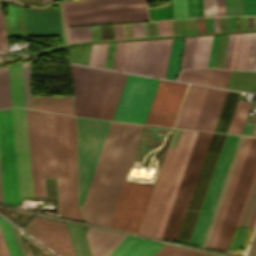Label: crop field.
<instances>
[{
    "mask_svg": "<svg viewBox=\"0 0 256 256\" xmlns=\"http://www.w3.org/2000/svg\"><path fill=\"white\" fill-rule=\"evenodd\" d=\"M229 77L227 75L184 70L181 71L179 80L225 88Z\"/></svg>",
    "mask_w": 256,
    "mask_h": 256,
    "instance_id": "24",
    "label": "crop field"
},
{
    "mask_svg": "<svg viewBox=\"0 0 256 256\" xmlns=\"http://www.w3.org/2000/svg\"><path fill=\"white\" fill-rule=\"evenodd\" d=\"M169 4L150 8L151 20L172 19L171 0Z\"/></svg>",
    "mask_w": 256,
    "mask_h": 256,
    "instance_id": "43",
    "label": "crop field"
},
{
    "mask_svg": "<svg viewBox=\"0 0 256 256\" xmlns=\"http://www.w3.org/2000/svg\"><path fill=\"white\" fill-rule=\"evenodd\" d=\"M239 136L227 135L199 213L191 244L202 245L227 169Z\"/></svg>",
    "mask_w": 256,
    "mask_h": 256,
    "instance_id": "9",
    "label": "crop field"
},
{
    "mask_svg": "<svg viewBox=\"0 0 256 256\" xmlns=\"http://www.w3.org/2000/svg\"><path fill=\"white\" fill-rule=\"evenodd\" d=\"M215 31H220L217 17L213 18Z\"/></svg>",
    "mask_w": 256,
    "mask_h": 256,
    "instance_id": "63",
    "label": "crop field"
},
{
    "mask_svg": "<svg viewBox=\"0 0 256 256\" xmlns=\"http://www.w3.org/2000/svg\"><path fill=\"white\" fill-rule=\"evenodd\" d=\"M67 26L148 19L145 0L64 6Z\"/></svg>",
    "mask_w": 256,
    "mask_h": 256,
    "instance_id": "6",
    "label": "crop field"
},
{
    "mask_svg": "<svg viewBox=\"0 0 256 256\" xmlns=\"http://www.w3.org/2000/svg\"><path fill=\"white\" fill-rule=\"evenodd\" d=\"M158 81L129 75L112 120L144 123Z\"/></svg>",
    "mask_w": 256,
    "mask_h": 256,
    "instance_id": "8",
    "label": "crop field"
},
{
    "mask_svg": "<svg viewBox=\"0 0 256 256\" xmlns=\"http://www.w3.org/2000/svg\"><path fill=\"white\" fill-rule=\"evenodd\" d=\"M0 110V167L4 203L19 202L11 108Z\"/></svg>",
    "mask_w": 256,
    "mask_h": 256,
    "instance_id": "12",
    "label": "crop field"
},
{
    "mask_svg": "<svg viewBox=\"0 0 256 256\" xmlns=\"http://www.w3.org/2000/svg\"><path fill=\"white\" fill-rule=\"evenodd\" d=\"M252 138L240 136L221 193L219 195L209 228L202 246L214 247L243 160Z\"/></svg>",
    "mask_w": 256,
    "mask_h": 256,
    "instance_id": "14",
    "label": "crop field"
},
{
    "mask_svg": "<svg viewBox=\"0 0 256 256\" xmlns=\"http://www.w3.org/2000/svg\"><path fill=\"white\" fill-rule=\"evenodd\" d=\"M184 38H173L166 78L174 80L179 69Z\"/></svg>",
    "mask_w": 256,
    "mask_h": 256,
    "instance_id": "31",
    "label": "crop field"
},
{
    "mask_svg": "<svg viewBox=\"0 0 256 256\" xmlns=\"http://www.w3.org/2000/svg\"><path fill=\"white\" fill-rule=\"evenodd\" d=\"M251 142V141H250ZM256 168V138L252 139L246 158L244 160L236 187L234 189L227 213L225 215L215 247L227 250L237 218L249 188L252 176Z\"/></svg>",
    "mask_w": 256,
    "mask_h": 256,
    "instance_id": "11",
    "label": "crop field"
},
{
    "mask_svg": "<svg viewBox=\"0 0 256 256\" xmlns=\"http://www.w3.org/2000/svg\"><path fill=\"white\" fill-rule=\"evenodd\" d=\"M163 246L156 242L126 236L109 256H154Z\"/></svg>",
    "mask_w": 256,
    "mask_h": 256,
    "instance_id": "20",
    "label": "crop field"
},
{
    "mask_svg": "<svg viewBox=\"0 0 256 256\" xmlns=\"http://www.w3.org/2000/svg\"><path fill=\"white\" fill-rule=\"evenodd\" d=\"M134 38L145 37L143 23L132 24Z\"/></svg>",
    "mask_w": 256,
    "mask_h": 256,
    "instance_id": "56",
    "label": "crop field"
},
{
    "mask_svg": "<svg viewBox=\"0 0 256 256\" xmlns=\"http://www.w3.org/2000/svg\"><path fill=\"white\" fill-rule=\"evenodd\" d=\"M255 181H256V171H255V174H254V176H253V179H252L250 188H249V190H248V193H247L245 202H244V204H243V207H242L240 216H239L238 221H237V224H236V225H238V226H240V224H241V221H242L243 215H244V213H245V210H246V207H247V204H248L250 195H251V193H252V190H253Z\"/></svg>",
    "mask_w": 256,
    "mask_h": 256,
    "instance_id": "51",
    "label": "crop field"
},
{
    "mask_svg": "<svg viewBox=\"0 0 256 256\" xmlns=\"http://www.w3.org/2000/svg\"><path fill=\"white\" fill-rule=\"evenodd\" d=\"M217 37H218V35H214V37H213V43H212V48H211V54H210V59H209L208 67H212V65H213L215 49H216V43H217Z\"/></svg>",
    "mask_w": 256,
    "mask_h": 256,
    "instance_id": "58",
    "label": "crop field"
},
{
    "mask_svg": "<svg viewBox=\"0 0 256 256\" xmlns=\"http://www.w3.org/2000/svg\"><path fill=\"white\" fill-rule=\"evenodd\" d=\"M171 41L172 39L160 40L153 76L165 78Z\"/></svg>",
    "mask_w": 256,
    "mask_h": 256,
    "instance_id": "30",
    "label": "crop field"
},
{
    "mask_svg": "<svg viewBox=\"0 0 256 256\" xmlns=\"http://www.w3.org/2000/svg\"><path fill=\"white\" fill-rule=\"evenodd\" d=\"M212 37L213 35L198 37L194 51L192 68L208 65Z\"/></svg>",
    "mask_w": 256,
    "mask_h": 256,
    "instance_id": "29",
    "label": "crop field"
},
{
    "mask_svg": "<svg viewBox=\"0 0 256 256\" xmlns=\"http://www.w3.org/2000/svg\"><path fill=\"white\" fill-rule=\"evenodd\" d=\"M158 42L159 40H147L141 74L152 76Z\"/></svg>",
    "mask_w": 256,
    "mask_h": 256,
    "instance_id": "33",
    "label": "crop field"
},
{
    "mask_svg": "<svg viewBox=\"0 0 256 256\" xmlns=\"http://www.w3.org/2000/svg\"><path fill=\"white\" fill-rule=\"evenodd\" d=\"M213 133L199 131L163 239L176 240Z\"/></svg>",
    "mask_w": 256,
    "mask_h": 256,
    "instance_id": "7",
    "label": "crop field"
},
{
    "mask_svg": "<svg viewBox=\"0 0 256 256\" xmlns=\"http://www.w3.org/2000/svg\"><path fill=\"white\" fill-rule=\"evenodd\" d=\"M217 9L218 15H226L224 0H217Z\"/></svg>",
    "mask_w": 256,
    "mask_h": 256,
    "instance_id": "59",
    "label": "crop field"
},
{
    "mask_svg": "<svg viewBox=\"0 0 256 256\" xmlns=\"http://www.w3.org/2000/svg\"><path fill=\"white\" fill-rule=\"evenodd\" d=\"M203 16L217 15L216 0H201Z\"/></svg>",
    "mask_w": 256,
    "mask_h": 256,
    "instance_id": "48",
    "label": "crop field"
},
{
    "mask_svg": "<svg viewBox=\"0 0 256 256\" xmlns=\"http://www.w3.org/2000/svg\"><path fill=\"white\" fill-rule=\"evenodd\" d=\"M250 103L238 102L227 133L239 135Z\"/></svg>",
    "mask_w": 256,
    "mask_h": 256,
    "instance_id": "34",
    "label": "crop field"
},
{
    "mask_svg": "<svg viewBox=\"0 0 256 256\" xmlns=\"http://www.w3.org/2000/svg\"><path fill=\"white\" fill-rule=\"evenodd\" d=\"M32 108L73 115L72 97H31Z\"/></svg>",
    "mask_w": 256,
    "mask_h": 256,
    "instance_id": "23",
    "label": "crop field"
},
{
    "mask_svg": "<svg viewBox=\"0 0 256 256\" xmlns=\"http://www.w3.org/2000/svg\"><path fill=\"white\" fill-rule=\"evenodd\" d=\"M86 237L92 256H108L125 236L90 228Z\"/></svg>",
    "mask_w": 256,
    "mask_h": 256,
    "instance_id": "19",
    "label": "crop field"
},
{
    "mask_svg": "<svg viewBox=\"0 0 256 256\" xmlns=\"http://www.w3.org/2000/svg\"><path fill=\"white\" fill-rule=\"evenodd\" d=\"M188 17L202 16L201 1L187 0Z\"/></svg>",
    "mask_w": 256,
    "mask_h": 256,
    "instance_id": "47",
    "label": "crop field"
},
{
    "mask_svg": "<svg viewBox=\"0 0 256 256\" xmlns=\"http://www.w3.org/2000/svg\"><path fill=\"white\" fill-rule=\"evenodd\" d=\"M152 188L124 183L109 227L137 233Z\"/></svg>",
    "mask_w": 256,
    "mask_h": 256,
    "instance_id": "10",
    "label": "crop field"
},
{
    "mask_svg": "<svg viewBox=\"0 0 256 256\" xmlns=\"http://www.w3.org/2000/svg\"><path fill=\"white\" fill-rule=\"evenodd\" d=\"M248 255L256 256V233L254 235L253 241H252L250 249L248 251Z\"/></svg>",
    "mask_w": 256,
    "mask_h": 256,
    "instance_id": "60",
    "label": "crop field"
},
{
    "mask_svg": "<svg viewBox=\"0 0 256 256\" xmlns=\"http://www.w3.org/2000/svg\"><path fill=\"white\" fill-rule=\"evenodd\" d=\"M107 46H108V43L101 44V46H100V52H99V58H98V64H97V66H99V67L104 68Z\"/></svg>",
    "mask_w": 256,
    "mask_h": 256,
    "instance_id": "55",
    "label": "crop field"
},
{
    "mask_svg": "<svg viewBox=\"0 0 256 256\" xmlns=\"http://www.w3.org/2000/svg\"><path fill=\"white\" fill-rule=\"evenodd\" d=\"M186 86L160 80L145 123L173 127Z\"/></svg>",
    "mask_w": 256,
    "mask_h": 256,
    "instance_id": "15",
    "label": "crop field"
},
{
    "mask_svg": "<svg viewBox=\"0 0 256 256\" xmlns=\"http://www.w3.org/2000/svg\"><path fill=\"white\" fill-rule=\"evenodd\" d=\"M12 106H25L21 63L8 67Z\"/></svg>",
    "mask_w": 256,
    "mask_h": 256,
    "instance_id": "25",
    "label": "crop field"
},
{
    "mask_svg": "<svg viewBox=\"0 0 256 256\" xmlns=\"http://www.w3.org/2000/svg\"><path fill=\"white\" fill-rule=\"evenodd\" d=\"M174 19L187 18L186 0H172Z\"/></svg>",
    "mask_w": 256,
    "mask_h": 256,
    "instance_id": "46",
    "label": "crop field"
},
{
    "mask_svg": "<svg viewBox=\"0 0 256 256\" xmlns=\"http://www.w3.org/2000/svg\"><path fill=\"white\" fill-rule=\"evenodd\" d=\"M251 35L252 33L241 34L237 58H236V64L234 69L245 70Z\"/></svg>",
    "mask_w": 256,
    "mask_h": 256,
    "instance_id": "35",
    "label": "crop field"
},
{
    "mask_svg": "<svg viewBox=\"0 0 256 256\" xmlns=\"http://www.w3.org/2000/svg\"><path fill=\"white\" fill-rule=\"evenodd\" d=\"M197 131L182 129L176 147L169 146L139 232L161 237Z\"/></svg>",
    "mask_w": 256,
    "mask_h": 256,
    "instance_id": "3",
    "label": "crop field"
},
{
    "mask_svg": "<svg viewBox=\"0 0 256 256\" xmlns=\"http://www.w3.org/2000/svg\"><path fill=\"white\" fill-rule=\"evenodd\" d=\"M24 12L28 36L42 35L39 11L24 9Z\"/></svg>",
    "mask_w": 256,
    "mask_h": 256,
    "instance_id": "36",
    "label": "crop field"
},
{
    "mask_svg": "<svg viewBox=\"0 0 256 256\" xmlns=\"http://www.w3.org/2000/svg\"><path fill=\"white\" fill-rule=\"evenodd\" d=\"M13 125L20 201L33 198L25 109L14 107Z\"/></svg>",
    "mask_w": 256,
    "mask_h": 256,
    "instance_id": "17",
    "label": "crop field"
},
{
    "mask_svg": "<svg viewBox=\"0 0 256 256\" xmlns=\"http://www.w3.org/2000/svg\"><path fill=\"white\" fill-rule=\"evenodd\" d=\"M23 230L61 256H76L65 222L34 215Z\"/></svg>",
    "mask_w": 256,
    "mask_h": 256,
    "instance_id": "16",
    "label": "crop field"
},
{
    "mask_svg": "<svg viewBox=\"0 0 256 256\" xmlns=\"http://www.w3.org/2000/svg\"><path fill=\"white\" fill-rule=\"evenodd\" d=\"M6 31L2 5L0 6V51H6Z\"/></svg>",
    "mask_w": 256,
    "mask_h": 256,
    "instance_id": "49",
    "label": "crop field"
},
{
    "mask_svg": "<svg viewBox=\"0 0 256 256\" xmlns=\"http://www.w3.org/2000/svg\"><path fill=\"white\" fill-rule=\"evenodd\" d=\"M100 44H92L88 65L96 66Z\"/></svg>",
    "mask_w": 256,
    "mask_h": 256,
    "instance_id": "53",
    "label": "crop field"
},
{
    "mask_svg": "<svg viewBox=\"0 0 256 256\" xmlns=\"http://www.w3.org/2000/svg\"><path fill=\"white\" fill-rule=\"evenodd\" d=\"M0 256H21L9 222L0 217Z\"/></svg>",
    "mask_w": 256,
    "mask_h": 256,
    "instance_id": "26",
    "label": "crop field"
},
{
    "mask_svg": "<svg viewBox=\"0 0 256 256\" xmlns=\"http://www.w3.org/2000/svg\"><path fill=\"white\" fill-rule=\"evenodd\" d=\"M78 152V199L82 207L111 121L75 117Z\"/></svg>",
    "mask_w": 256,
    "mask_h": 256,
    "instance_id": "5",
    "label": "crop field"
},
{
    "mask_svg": "<svg viewBox=\"0 0 256 256\" xmlns=\"http://www.w3.org/2000/svg\"><path fill=\"white\" fill-rule=\"evenodd\" d=\"M226 90L213 89L211 98L209 100L204 118L202 120L199 130L213 131L216 125L218 116L223 106L225 97L227 95Z\"/></svg>",
    "mask_w": 256,
    "mask_h": 256,
    "instance_id": "22",
    "label": "crop field"
},
{
    "mask_svg": "<svg viewBox=\"0 0 256 256\" xmlns=\"http://www.w3.org/2000/svg\"><path fill=\"white\" fill-rule=\"evenodd\" d=\"M11 106L8 87L7 66L0 68V108Z\"/></svg>",
    "mask_w": 256,
    "mask_h": 256,
    "instance_id": "39",
    "label": "crop field"
},
{
    "mask_svg": "<svg viewBox=\"0 0 256 256\" xmlns=\"http://www.w3.org/2000/svg\"><path fill=\"white\" fill-rule=\"evenodd\" d=\"M90 47L91 45L68 47L69 61L87 65Z\"/></svg>",
    "mask_w": 256,
    "mask_h": 256,
    "instance_id": "38",
    "label": "crop field"
},
{
    "mask_svg": "<svg viewBox=\"0 0 256 256\" xmlns=\"http://www.w3.org/2000/svg\"><path fill=\"white\" fill-rule=\"evenodd\" d=\"M68 43L85 42L91 40L89 27L84 28H66Z\"/></svg>",
    "mask_w": 256,
    "mask_h": 256,
    "instance_id": "42",
    "label": "crop field"
},
{
    "mask_svg": "<svg viewBox=\"0 0 256 256\" xmlns=\"http://www.w3.org/2000/svg\"><path fill=\"white\" fill-rule=\"evenodd\" d=\"M145 42L146 40L135 41L129 72L140 74Z\"/></svg>",
    "mask_w": 256,
    "mask_h": 256,
    "instance_id": "37",
    "label": "crop field"
},
{
    "mask_svg": "<svg viewBox=\"0 0 256 256\" xmlns=\"http://www.w3.org/2000/svg\"><path fill=\"white\" fill-rule=\"evenodd\" d=\"M239 94L240 93H237V92H231V91L228 92V95L224 103L215 131L223 132V133L227 132L235 107L238 102Z\"/></svg>",
    "mask_w": 256,
    "mask_h": 256,
    "instance_id": "28",
    "label": "crop field"
},
{
    "mask_svg": "<svg viewBox=\"0 0 256 256\" xmlns=\"http://www.w3.org/2000/svg\"><path fill=\"white\" fill-rule=\"evenodd\" d=\"M253 136H256V129H255V132H254V135Z\"/></svg>",
    "mask_w": 256,
    "mask_h": 256,
    "instance_id": "65",
    "label": "crop field"
},
{
    "mask_svg": "<svg viewBox=\"0 0 256 256\" xmlns=\"http://www.w3.org/2000/svg\"><path fill=\"white\" fill-rule=\"evenodd\" d=\"M143 126L111 122L81 210L84 220L109 226Z\"/></svg>",
    "mask_w": 256,
    "mask_h": 256,
    "instance_id": "1",
    "label": "crop field"
},
{
    "mask_svg": "<svg viewBox=\"0 0 256 256\" xmlns=\"http://www.w3.org/2000/svg\"><path fill=\"white\" fill-rule=\"evenodd\" d=\"M213 88L190 85L175 127L198 130Z\"/></svg>",
    "mask_w": 256,
    "mask_h": 256,
    "instance_id": "18",
    "label": "crop field"
},
{
    "mask_svg": "<svg viewBox=\"0 0 256 256\" xmlns=\"http://www.w3.org/2000/svg\"><path fill=\"white\" fill-rule=\"evenodd\" d=\"M198 33L205 32L203 18L196 19Z\"/></svg>",
    "mask_w": 256,
    "mask_h": 256,
    "instance_id": "61",
    "label": "crop field"
},
{
    "mask_svg": "<svg viewBox=\"0 0 256 256\" xmlns=\"http://www.w3.org/2000/svg\"><path fill=\"white\" fill-rule=\"evenodd\" d=\"M34 198L46 197L45 177H56L60 216L73 219L64 115L26 109Z\"/></svg>",
    "mask_w": 256,
    "mask_h": 256,
    "instance_id": "2",
    "label": "crop field"
},
{
    "mask_svg": "<svg viewBox=\"0 0 256 256\" xmlns=\"http://www.w3.org/2000/svg\"><path fill=\"white\" fill-rule=\"evenodd\" d=\"M233 36H234V34H230V36H229V41H228V46H227V51H226V56H225V61H224L223 68H228V66H229V60H230Z\"/></svg>",
    "mask_w": 256,
    "mask_h": 256,
    "instance_id": "57",
    "label": "crop field"
},
{
    "mask_svg": "<svg viewBox=\"0 0 256 256\" xmlns=\"http://www.w3.org/2000/svg\"><path fill=\"white\" fill-rule=\"evenodd\" d=\"M239 36H240V34H235V36H234V42H233V48H232L230 66H229V68H231V69L234 68V64H235V58H236L237 47H238V42H239Z\"/></svg>",
    "mask_w": 256,
    "mask_h": 256,
    "instance_id": "54",
    "label": "crop field"
},
{
    "mask_svg": "<svg viewBox=\"0 0 256 256\" xmlns=\"http://www.w3.org/2000/svg\"><path fill=\"white\" fill-rule=\"evenodd\" d=\"M134 41L125 42L120 70L128 72Z\"/></svg>",
    "mask_w": 256,
    "mask_h": 256,
    "instance_id": "44",
    "label": "crop field"
},
{
    "mask_svg": "<svg viewBox=\"0 0 256 256\" xmlns=\"http://www.w3.org/2000/svg\"><path fill=\"white\" fill-rule=\"evenodd\" d=\"M188 251H189L188 249H183V248L177 249V247L164 245L159 252L157 251L158 253L156 252L157 254L155 256H185ZM186 256H213V255L190 250Z\"/></svg>",
    "mask_w": 256,
    "mask_h": 256,
    "instance_id": "40",
    "label": "crop field"
},
{
    "mask_svg": "<svg viewBox=\"0 0 256 256\" xmlns=\"http://www.w3.org/2000/svg\"><path fill=\"white\" fill-rule=\"evenodd\" d=\"M225 136L226 135L223 134H213L185 219L183 221L177 239L179 241L187 243L189 242L191 232L193 230L197 215L199 213L203 198L205 196Z\"/></svg>",
    "mask_w": 256,
    "mask_h": 256,
    "instance_id": "13",
    "label": "crop field"
},
{
    "mask_svg": "<svg viewBox=\"0 0 256 256\" xmlns=\"http://www.w3.org/2000/svg\"><path fill=\"white\" fill-rule=\"evenodd\" d=\"M40 15L43 35H63L59 9L43 10Z\"/></svg>",
    "mask_w": 256,
    "mask_h": 256,
    "instance_id": "27",
    "label": "crop field"
},
{
    "mask_svg": "<svg viewBox=\"0 0 256 256\" xmlns=\"http://www.w3.org/2000/svg\"><path fill=\"white\" fill-rule=\"evenodd\" d=\"M255 223H256V205H255V208H254V211L252 213V216H251V219H250V222H249L248 226L254 227Z\"/></svg>",
    "mask_w": 256,
    "mask_h": 256,
    "instance_id": "62",
    "label": "crop field"
},
{
    "mask_svg": "<svg viewBox=\"0 0 256 256\" xmlns=\"http://www.w3.org/2000/svg\"><path fill=\"white\" fill-rule=\"evenodd\" d=\"M75 115L112 119L128 75L72 66Z\"/></svg>",
    "mask_w": 256,
    "mask_h": 256,
    "instance_id": "4",
    "label": "crop field"
},
{
    "mask_svg": "<svg viewBox=\"0 0 256 256\" xmlns=\"http://www.w3.org/2000/svg\"><path fill=\"white\" fill-rule=\"evenodd\" d=\"M196 39L197 37L186 38L180 70L191 68Z\"/></svg>",
    "mask_w": 256,
    "mask_h": 256,
    "instance_id": "41",
    "label": "crop field"
},
{
    "mask_svg": "<svg viewBox=\"0 0 256 256\" xmlns=\"http://www.w3.org/2000/svg\"><path fill=\"white\" fill-rule=\"evenodd\" d=\"M244 15H256V0H243ZM242 0H226L227 15H243Z\"/></svg>",
    "mask_w": 256,
    "mask_h": 256,
    "instance_id": "32",
    "label": "crop field"
},
{
    "mask_svg": "<svg viewBox=\"0 0 256 256\" xmlns=\"http://www.w3.org/2000/svg\"><path fill=\"white\" fill-rule=\"evenodd\" d=\"M159 36L172 35L170 21L157 22Z\"/></svg>",
    "mask_w": 256,
    "mask_h": 256,
    "instance_id": "52",
    "label": "crop field"
},
{
    "mask_svg": "<svg viewBox=\"0 0 256 256\" xmlns=\"http://www.w3.org/2000/svg\"><path fill=\"white\" fill-rule=\"evenodd\" d=\"M255 201H256V184H255L253 193L251 195V198H250V201H249V204H248V207H247V210H246V213L244 215V218H243V221H242L241 225H244V226L248 225V222H249V219H250Z\"/></svg>",
    "mask_w": 256,
    "mask_h": 256,
    "instance_id": "50",
    "label": "crop field"
},
{
    "mask_svg": "<svg viewBox=\"0 0 256 256\" xmlns=\"http://www.w3.org/2000/svg\"><path fill=\"white\" fill-rule=\"evenodd\" d=\"M47 1H49V0H42V4L45 3V2H47Z\"/></svg>",
    "mask_w": 256,
    "mask_h": 256,
    "instance_id": "64",
    "label": "crop field"
},
{
    "mask_svg": "<svg viewBox=\"0 0 256 256\" xmlns=\"http://www.w3.org/2000/svg\"><path fill=\"white\" fill-rule=\"evenodd\" d=\"M74 219H80L76 198V152L73 117L65 115Z\"/></svg>",
    "mask_w": 256,
    "mask_h": 256,
    "instance_id": "21",
    "label": "crop field"
},
{
    "mask_svg": "<svg viewBox=\"0 0 256 256\" xmlns=\"http://www.w3.org/2000/svg\"><path fill=\"white\" fill-rule=\"evenodd\" d=\"M246 70H256V33L252 35Z\"/></svg>",
    "mask_w": 256,
    "mask_h": 256,
    "instance_id": "45",
    "label": "crop field"
}]
</instances>
